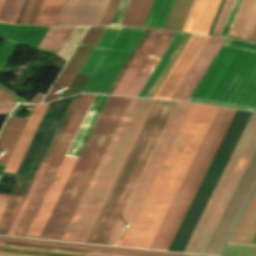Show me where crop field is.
I'll use <instances>...</instances> for the list:
<instances>
[{"label":"crop field","instance_id":"obj_25","mask_svg":"<svg viewBox=\"0 0 256 256\" xmlns=\"http://www.w3.org/2000/svg\"><path fill=\"white\" fill-rule=\"evenodd\" d=\"M24 0H6L0 14V22L14 24ZM35 0H29L19 24H25Z\"/></svg>","mask_w":256,"mask_h":256},{"label":"crop field","instance_id":"obj_22","mask_svg":"<svg viewBox=\"0 0 256 256\" xmlns=\"http://www.w3.org/2000/svg\"><path fill=\"white\" fill-rule=\"evenodd\" d=\"M153 0H130L120 25L142 27Z\"/></svg>","mask_w":256,"mask_h":256},{"label":"crop field","instance_id":"obj_7","mask_svg":"<svg viewBox=\"0 0 256 256\" xmlns=\"http://www.w3.org/2000/svg\"><path fill=\"white\" fill-rule=\"evenodd\" d=\"M256 127V114L253 113L219 183L217 184L184 252L187 253H192L214 207L216 206L237 162L239 161L254 129ZM256 149V129L240 159V161L238 162L217 206L215 207L193 253H197V254H203L237 184L239 183L254 151Z\"/></svg>","mask_w":256,"mask_h":256},{"label":"crop field","instance_id":"obj_8","mask_svg":"<svg viewBox=\"0 0 256 256\" xmlns=\"http://www.w3.org/2000/svg\"><path fill=\"white\" fill-rule=\"evenodd\" d=\"M144 32L122 27L82 93L106 94Z\"/></svg>","mask_w":256,"mask_h":256},{"label":"crop field","instance_id":"obj_18","mask_svg":"<svg viewBox=\"0 0 256 256\" xmlns=\"http://www.w3.org/2000/svg\"><path fill=\"white\" fill-rule=\"evenodd\" d=\"M27 120L9 117L0 135V150L6 154L0 156V164L5 165Z\"/></svg>","mask_w":256,"mask_h":256},{"label":"crop field","instance_id":"obj_33","mask_svg":"<svg viewBox=\"0 0 256 256\" xmlns=\"http://www.w3.org/2000/svg\"><path fill=\"white\" fill-rule=\"evenodd\" d=\"M5 102H14V99L12 98V95L9 93H5L0 89V103Z\"/></svg>","mask_w":256,"mask_h":256},{"label":"crop field","instance_id":"obj_5","mask_svg":"<svg viewBox=\"0 0 256 256\" xmlns=\"http://www.w3.org/2000/svg\"><path fill=\"white\" fill-rule=\"evenodd\" d=\"M229 45L256 51L253 44ZM190 99L256 109V53L222 46Z\"/></svg>","mask_w":256,"mask_h":256},{"label":"crop field","instance_id":"obj_14","mask_svg":"<svg viewBox=\"0 0 256 256\" xmlns=\"http://www.w3.org/2000/svg\"><path fill=\"white\" fill-rule=\"evenodd\" d=\"M49 104L35 106L3 172L16 173Z\"/></svg>","mask_w":256,"mask_h":256},{"label":"crop field","instance_id":"obj_11","mask_svg":"<svg viewBox=\"0 0 256 256\" xmlns=\"http://www.w3.org/2000/svg\"><path fill=\"white\" fill-rule=\"evenodd\" d=\"M193 1L194 0H175L174 2V0H154L144 25L163 27L173 2L174 5L171 9L164 28L148 26L144 27L181 31Z\"/></svg>","mask_w":256,"mask_h":256},{"label":"crop field","instance_id":"obj_12","mask_svg":"<svg viewBox=\"0 0 256 256\" xmlns=\"http://www.w3.org/2000/svg\"><path fill=\"white\" fill-rule=\"evenodd\" d=\"M225 39L211 37L172 100L188 101L192 91L209 67Z\"/></svg>","mask_w":256,"mask_h":256},{"label":"crop field","instance_id":"obj_36","mask_svg":"<svg viewBox=\"0 0 256 256\" xmlns=\"http://www.w3.org/2000/svg\"><path fill=\"white\" fill-rule=\"evenodd\" d=\"M0 256H31V255H21V254H11V253L0 252Z\"/></svg>","mask_w":256,"mask_h":256},{"label":"crop field","instance_id":"obj_34","mask_svg":"<svg viewBox=\"0 0 256 256\" xmlns=\"http://www.w3.org/2000/svg\"><path fill=\"white\" fill-rule=\"evenodd\" d=\"M15 104H0V114L10 113Z\"/></svg>","mask_w":256,"mask_h":256},{"label":"crop field","instance_id":"obj_10","mask_svg":"<svg viewBox=\"0 0 256 256\" xmlns=\"http://www.w3.org/2000/svg\"><path fill=\"white\" fill-rule=\"evenodd\" d=\"M109 0H66L55 26L99 25Z\"/></svg>","mask_w":256,"mask_h":256},{"label":"crop field","instance_id":"obj_31","mask_svg":"<svg viewBox=\"0 0 256 256\" xmlns=\"http://www.w3.org/2000/svg\"><path fill=\"white\" fill-rule=\"evenodd\" d=\"M119 0H111L109 5H108V8L106 10V13L103 17V20L101 22L100 25H103V24H108L110 23L111 19H112V16L114 14V11L117 7V4H118Z\"/></svg>","mask_w":256,"mask_h":256},{"label":"crop field","instance_id":"obj_23","mask_svg":"<svg viewBox=\"0 0 256 256\" xmlns=\"http://www.w3.org/2000/svg\"><path fill=\"white\" fill-rule=\"evenodd\" d=\"M0 242V246H1ZM1 247L82 255L84 250L3 242ZM87 256H136L85 250Z\"/></svg>","mask_w":256,"mask_h":256},{"label":"crop field","instance_id":"obj_2","mask_svg":"<svg viewBox=\"0 0 256 256\" xmlns=\"http://www.w3.org/2000/svg\"><path fill=\"white\" fill-rule=\"evenodd\" d=\"M129 99L108 98L39 238L61 239ZM154 103L130 99L61 240L86 242Z\"/></svg>","mask_w":256,"mask_h":256},{"label":"crop field","instance_id":"obj_16","mask_svg":"<svg viewBox=\"0 0 256 256\" xmlns=\"http://www.w3.org/2000/svg\"><path fill=\"white\" fill-rule=\"evenodd\" d=\"M228 37L256 42V0H243Z\"/></svg>","mask_w":256,"mask_h":256},{"label":"crop field","instance_id":"obj_4","mask_svg":"<svg viewBox=\"0 0 256 256\" xmlns=\"http://www.w3.org/2000/svg\"><path fill=\"white\" fill-rule=\"evenodd\" d=\"M95 95H83L14 235L26 236ZM107 97L96 95L65 159L76 160ZM64 160L27 234L38 238L76 161Z\"/></svg>","mask_w":256,"mask_h":256},{"label":"crop field","instance_id":"obj_37","mask_svg":"<svg viewBox=\"0 0 256 256\" xmlns=\"http://www.w3.org/2000/svg\"><path fill=\"white\" fill-rule=\"evenodd\" d=\"M4 2H5V0H0V11H1L2 7H3Z\"/></svg>","mask_w":256,"mask_h":256},{"label":"crop field","instance_id":"obj_9","mask_svg":"<svg viewBox=\"0 0 256 256\" xmlns=\"http://www.w3.org/2000/svg\"><path fill=\"white\" fill-rule=\"evenodd\" d=\"M106 26H98V27H90L87 31L86 35L80 42L79 46L73 53L72 57L68 61L67 65L61 72L60 76L54 83L53 87L47 94L43 103L53 101L57 96L56 91L59 90L60 87L68 89L71 82L77 75L79 69L85 62L86 58L96 45L97 41L103 34Z\"/></svg>","mask_w":256,"mask_h":256},{"label":"crop field","instance_id":"obj_26","mask_svg":"<svg viewBox=\"0 0 256 256\" xmlns=\"http://www.w3.org/2000/svg\"><path fill=\"white\" fill-rule=\"evenodd\" d=\"M65 0H43L33 25L54 26Z\"/></svg>","mask_w":256,"mask_h":256},{"label":"crop field","instance_id":"obj_21","mask_svg":"<svg viewBox=\"0 0 256 256\" xmlns=\"http://www.w3.org/2000/svg\"><path fill=\"white\" fill-rule=\"evenodd\" d=\"M119 30L106 29L99 42L91 52L80 72L92 75L105 52L111 45Z\"/></svg>","mask_w":256,"mask_h":256},{"label":"crop field","instance_id":"obj_3","mask_svg":"<svg viewBox=\"0 0 256 256\" xmlns=\"http://www.w3.org/2000/svg\"><path fill=\"white\" fill-rule=\"evenodd\" d=\"M168 34L169 32L151 30L150 34L148 35L140 50L136 54L132 63L130 64L122 79L118 83L117 87L113 91L112 95L130 96L133 89L137 85L138 81L144 74L145 70L149 66L150 62L154 58L155 54L161 47L162 43L164 42ZM176 35L177 33L170 32L162 47L160 48L155 58L151 62L150 66L146 70L145 74L143 75L138 85L134 89L131 96L138 97L141 90L145 86L146 82L152 75L153 71L157 67L158 63L162 59L163 55L169 48L170 44L172 43ZM179 35L180 33H178V35L176 36L175 40L173 41L170 48L164 55L163 59L159 63L158 67L156 68L153 75L147 82L139 97H141V95L143 94L144 90L148 86L149 82L155 75L156 71L160 67L161 63L165 59L166 55L172 48L173 44L175 43ZM183 35L184 33H181L173 48L171 49L166 59L162 63L161 67L157 71L156 75L154 76L149 86L145 90L142 97H145V95L147 94L148 90L152 86L153 82L159 75L160 71L164 67L165 63L169 59L170 55L176 48L177 44L179 43ZM208 39L209 37L207 36H199L185 33L177 48L175 49L170 59L166 63L165 67L161 71L160 75L158 76L153 86L149 90L146 97L171 100L174 93L178 89L179 85L183 81L184 77L188 73L189 69L193 65L194 61L198 57L199 53L203 49Z\"/></svg>","mask_w":256,"mask_h":256},{"label":"crop field","instance_id":"obj_6","mask_svg":"<svg viewBox=\"0 0 256 256\" xmlns=\"http://www.w3.org/2000/svg\"><path fill=\"white\" fill-rule=\"evenodd\" d=\"M175 104L156 102L86 243L107 244Z\"/></svg>","mask_w":256,"mask_h":256},{"label":"crop field","instance_id":"obj_29","mask_svg":"<svg viewBox=\"0 0 256 256\" xmlns=\"http://www.w3.org/2000/svg\"><path fill=\"white\" fill-rule=\"evenodd\" d=\"M16 42L8 40L7 44L5 45L3 51L0 54V72L2 71L9 55L11 54L13 48L15 47Z\"/></svg>","mask_w":256,"mask_h":256},{"label":"crop field","instance_id":"obj_28","mask_svg":"<svg viewBox=\"0 0 256 256\" xmlns=\"http://www.w3.org/2000/svg\"><path fill=\"white\" fill-rule=\"evenodd\" d=\"M255 246L228 244L223 256H249ZM256 256V248L250 254Z\"/></svg>","mask_w":256,"mask_h":256},{"label":"crop field","instance_id":"obj_1","mask_svg":"<svg viewBox=\"0 0 256 256\" xmlns=\"http://www.w3.org/2000/svg\"><path fill=\"white\" fill-rule=\"evenodd\" d=\"M190 104L177 103L108 242L131 224ZM219 107L191 104L152 185L117 246L149 249ZM236 111L220 108L150 249L167 251Z\"/></svg>","mask_w":256,"mask_h":256},{"label":"crop field","instance_id":"obj_30","mask_svg":"<svg viewBox=\"0 0 256 256\" xmlns=\"http://www.w3.org/2000/svg\"><path fill=\"white\" fill-rule=\"evenodd\" d=\"M128 2H129V0H120V3L118 5V8L115 12V15H114L113 20L110 25H119Z\"/></svg>","mask_w":256,"mask_h":256},{"label":"crop field","instance_id":"obj_13","mask_svg":"<svg viewBox=\"0 0 256 256\" xmlns=\"http://www.w3.org/2000/svg\"><path fill=\"white\" fill-rule=\"evenodd\" d=\"M86 28L87 27L75 28V30L74 28H49L38 48L59 53L66 40L74 30L59 53V56L68 59Z\"/></svg>","mask_w":256,"mask_h":256},{"label":"crop field","instance_id":"obj_15","mask_svg":"<svg viewBox=\"0 0 256 256\" xmlns=\"http://www.w3.org/2000/svg\"><path fill=\"white\" fill-rule=\"evenodd\" d=\"M221 0H195L182 31L207 34Z\"/></svg>","mask_w":256,"mask_h":256},{"label":"crop field","instance_id":"obj_27","mask_svg":"<svg viewBox=\"0 0 256 256\" xmlns=\"http://www.w3.org/2000/svg\"><path fill=\"white\" fill-rule=\"evenodd\" d=\"M45 169L46 168H43V167L39 168V170H38V172H37V174H36V176L33 180V183H32V185H31V187H30V189H29V191H28V193H27V195H26V197H25V199H24V201H23V203H22V205H21V207H20V209H19V211H18V213H17V215H16V217H15V219H14V221H13V223H12V225H11L7 234H10V235L14 234V232H15V230H16V228H17V226H18V224H19V222H20L28 204H29V201H30V199H31V197H32V195H33V193H34V191H35V189H36L44 171H45Z\"/></svg>","mask_w":256,"mask_h":256},{"label":"crop field","instance_id":"obj_19","mask_svg":"<svg viewBox=\"0 0 256 256\" xmlns=\"http://www.w3.org/2000/svg\"><path fill=\"white\" fill-rule=\"evenodd\" d=\"M239 223V222H238ZM256 232V192L248 205L230 242L250 244Z\"/></svg>","mask_w":256,"mask_h":256},{"label":"crop field","instance_id":"obj_20","mask_svg":"<svg viewBox=\"0 0 256 256\" xmlns=\"http://www.w3.org/2000/svg\"><path fill=\"white\" fill-rule=\"evenodd\" d=\"M25 196L0 193V233L6 234Z\"/></svg>","mask_w":256,"mask_h":256},{"label":"crop field","instance_id":"obj_32","mask_svg":"<svg viewBox=\"0 0 256 256\" xmlns=\"http://www.w3.org/2000/svg\"><path fill=\"white\" fill-rule=\"evenodd\" d=\"M41 3H42V0H36V3L34 5V8L32 10V13H31V15L29 17V20H28L27 24H29V25L33 24L34 19H35L36 15H37V12L39 10V7H40Z\"/></svg>","mask_w":256,"mask_h":256},{"label":"crop field","instance_id":"obj_17","mask_svg":"<svg viewBox=\"0 0 256 256\" xmlns=\"http://www.w3.org/2000/svg\"><path fill=\"white\" fill-rule=\"evenodd\" d=\"M0 241L69 247V248H79V249H89V250H99V251H109V252H119V253H129V254H139V255H150V256H192V255H182V254L152 252V251H143V250L93 246V245H84V244H74V243H65V242H55V241H46V240H36V239H27V238H17V237H8V236H0Z\"/></svg>","mask_w":256,"mask_h":256},{"label":"crop field","instance_id":"obj_24","mask_svg":"<svg viewBox=\"0 0 256 256\" xmlns=\"http://www.w3.org/2000/svg\"><path fill=\"white\" fill-rule=\"evenodd\" d=\"M233 1L234 0H225V3L223 5V8L221 10V13L218 17V20L216 22V25H215L211 35H215V36L220 35L221 30H222V28L224 26V23L226 21V18H227L228 14H229V11L231 9V6L233 4ZM241 2H242V0H235L234 1V4L232 6V9L230 11V14L227 18V21L225 23V26H224L220 36H224V37L228 36L229 31H230V29L232 27V24L234 22V19H235L236 15H237V12L239 10V7L241 5Z\"/></svg>","mask_w":256,"mask_h":256},{"label":"crop field","instance_id":"obj_35","mask_svg":"<svg viewBox=\"0 0 256 256\" xmlns=\"http://www.w3.org/2000/svg\"><path fill=\"white\" fill-rule=\"evenodd\" d=\"M44 94L38 93L29 103H41L44 98Z\"/></svg>","mask_w":256,"mask_h":256}]
</instances>
